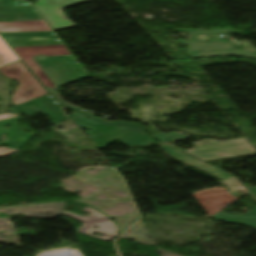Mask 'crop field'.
<instances>
[{"instance_id": "16", "label": "crop field", "mask_w": 256, "mask_h": 256, "mask_svg": "<svg viewBox=\"0 0 256 256\" xmlns=\"http://www.w3.org/2000/svg\"><path fill=\"white\" fill-rule=\"evenodd\" d=\"M17 152L16 150L9 149V148H2L0 147V157L6 156L11 153Z\"/></svg>"}, {"instance_id": "1", "label": "crop field", "mask_w": 256, "mask_h": 256, "mask_svg": "<svg viewBox=\"0 0 256 256\" xmlns=\"http://www.w3.org/2000/svg\"><path fill=\"white\" fill-rule=\"evenodd\" d=\"M1 35L3 37H15L54 35V33L39 32ZM13 49L22 58V60L27 64L29 68H31V65L34 66L33 68H31L33 69V72L61 105L85 114L93 119L102 120L95 117L92 113L75 108L61 101L60 98L56 95V91L52 89L57 88L59 85L66 82L88 76L86 72L72 59L71 55L62 45L13 47ZM30 61H32V63ZM102 121L109 122L107 120ZM113 124L146 133L142 126L138 124L126 122H116Z\"/></svg>"}, {"instance_id": "10", "label": "crop field", "mask_w": 256, "mask_h": 256, "mask_svg": "<svg viewBox=\"0 0 256 256\" xmlns=\"http://www.w3.org/2000/svg\"><path fill=\"white\" fill-rule=\"evenodd\" d=\"M20 117L5 119L0 121V137L3 133L9 135L6 143L0 145H8L10 148L19 149L24 143L29 140L34 134L19 132L16 121ZM5 125H11L10 131H7Z\"/></svg>"}, {"instance_id": "17", "label": "crop field", "mask_w": 256, "mask_h": 256, "mask_svg": "<svg viewBox=\"0 0 256 256\" xmlns=\"http://www.w3.org/2000/svg\"><path fill=\"white\" fill-rule=\"evenodd\" d=\"M17 115H13V114H6V115H1L0 119H5V118H10V117H15Z\"/></svg>"}, {"instance_id": "2", "label": "crop field", "mask_w": 256, "mask_h": 256, "mask_svg": "<svg viewBox=\"0 0 256 256\" xmlns=\"http://www.w3.org/2000/svg\"><path fill=\"white\" fill-rule=\"evenodd\" d=\"M0 73L6 78H13L20 83L13 92L12 100L14 105H18L17 109L28 118L35 113L42 112L51 116L55 123L69 119L65 108L58 106L50 95H46L47 91L22 62L2 67ZM39 96L42 98L33 100Z\"/></svg>"}, {"instance_id": "3", "label": "crop field", "mask_w": 256, "mask_h": 256, "mask_svg": "<svg viewBox=\"0 0 256 256\" xmlns=\"http://www.w3.org/2000/svg\"><path fill=\"white\" fill-rule=\"evenodd\" d=\"M70 117L77 126L90 129L86 134L96 148H103L115 140L132 147L149 138L132 130L107 125L93 119L87 120L77 113Z\"/></svg>"}, {"instance_id": "6", "label": "crop field", "mask_w": 256, "mask_h": 256, "mask_svg": "<svg viewBox=\"0 0 256 256\" xmlns=\"http://www.w3.org/2000/svg\"><path fill=\"white\" fill-rule=\"evenodd\" d=\"M81 211L89 213V215L84 217L81 215L73 214L69 211H64V214L74 217L76 220L82 222L83 226L77 229L79 233L104 241H107L117 235L118 227L113 223L111 219L89 206L81 209ZM95 226L99 228L96 229L94 228ZM95 232L101 233L105 236L98 237L92 235Z\"/></svg>"}, {"instance_id": "13", "label": "crop field", "mask_w": 256, "mask_h": 256, "mask_svg": "<svg viewBox=\"0 0 256 256\" xmlns=\"http://www.w3.org/2000/svg\"><path fill=\"white\" fill-rule=\"evenodd\" d=\"M16 60H18L16 55L11 51V49L0 37V67L5 66Z\"/></svg>"}, {"instance_id": "12", "label": "crop field", "mask_w": 256, "mask_h": 256, "mask_svg": "<svg viewBox=\"0 0 256 256\" xmlns=\"http://www.w3.org/2000/svg\"><path fill=\"white\" fill-rule=\"evenodd\" d=\"M213 217L223 221L244 224L256 228V208L252 209L244 216L222 211Z\"/></svg>"}, {"instance_id": "5", "label": "crop field", "mask_w": 256, "mask_h": 256, "mask_svg": "<svg viewBox=\"0 0 256 256\" xmlns=\"http://www.w3.org/2000/svg\"><path fill=\"white\" fill-rule=\"evenodd\" d=\"M195 144L199 148L186 151V153L204 161L234 157L255 152L245 138L225 142L206 140L195 142Z\"/></svg>"}, {"instance_id": "15", "label": "crop field", "mask_w": 256, "mask_h": 256, "mask_svg": "<svg viewBox=\"0 0 256 256\" xmlns=\"http://www.w3.org/2000/svg\"><path fill=\"white\" fill-rule=\"evenodd\" d=\"M4 212V211H0ZM0 231L15 232L8 218H0Z\"/></svg>"}, {"instance_id": "14", "label": "crop field", "mask_w": 256, "mask_h": 256, "mask_svg": "<svg viewBox=\"0 0 256 256\" xmlns=\"http://www.w3.org/2000/svg\"><path fill=\"white\" fill-rule=\"evenodd\" d=\"M159 140H161L162 142H166V141H171V140H176V139H181V138H186L184 136H181L175 132L172 133H167V134H162V135H158V136H153Z\"/></svg>"}, {"instance_id": "8", "label": "crop field", "mask_w": 256, "mask_h": 256, "mask_svg": "<svg viewBox=\"0 0 256 256\" xmlns=\"http://www.w3.org/2000/svg\"><path fill=\"white\" fill-rule=\"evenodd\" d=\"M35 8L53 30L76 26L63 12L66 7L92 0H36Z\"/></svg>"}, {"instance_id": "4", "label": "crop field", "mask_w": 256, "mask_h": 256, "mask_svg": "<svg viewBox=\"0 0 256 256\" xmlns=\"http://www.w3.org/2000/svg\"><path fill=\"white\" fill-rule=\"evenodd\" d=\"M178 32H188L190 34L189 40H179L178 42L189 46L186 52L192 58L219 56V55H236L241 57L256 59V54L246 51L234 50L232 42L219 41L203 43L195 41L197 34H216V33H237L239 31L227 28V29H210V30H185L175 29Z\"/></svg>"}, {"instance_id": "7", "label": "crop field", "mask_w": 256, "mask_h": 256, "mask_svg": "<svg viewBox=\"0 0 256 256\" xmlns=\"http://www.w3.org/2000/svg\"><path fill=\"white\" fill-rule=\"evenodd\" d=\"M161 147L164 149V151L168 155H170V156H172V157H174V158H176V159H178V160H180V161H182V162H184L186 164H189V165H191V166H193V167H195L197 169H200V170H202V171H204L206 173H209V174H211V175H213V176H215V177L225 181V182H223L221 184L228 186L232 195L240 198L243 195H245L248 192H250L246 188H244L232 176H230V175H228V174H226V173H224V172L214 168L213 166H211V165H209V164H207V163H205V162H203L201 160H198V159H196L194 157H191V156H189L187 154H184V153H182L180 151H177V150H175V149H173V148H171V147H169V146H167L165 144L161 145Z\"/></svg>"}, {"instance_id": "11", "label": "crop field", "mask_w": 256, "mask_h": 256, "mask_svg": "<svg viewBox=\"0 0 256 256\" xmlns=\"http://www.w3.org/2000/svg\"><path fill=\"white\" fill-rule=\"evenodd\" d=\"M51 31L44 21L0 22V32Z\"/></svg>"}, {"instance_id": "9", "label": "crop field", "mask_w": 256, "mask_h": 256, "mask_svg": "<svg viewBox=\"0 0 256 256\" xmlns=\"http://www.w3.org/2000/svg\"><path fill=\"white\" fill-rule=\"evenodd\" d=\"M6 214H24L28 217H36L43 219H52L64 211V202L59 203H47L29 207H12L4 209Z\"/></svg>"}, {"instance_id": "18", "label": "crop field", "mask_w": 256, "mask_h": 256, "mask_svg": "<svg viewBox=\"0 0 256 256\" xmlns=\"http://www.w3.org/2000/svg\"><path fill=\"white\" fill-rule=\"evenodd\" d=\"M251 192H253L256 195V188L255 189H251Z\"/></svg>"}]
</instances>
